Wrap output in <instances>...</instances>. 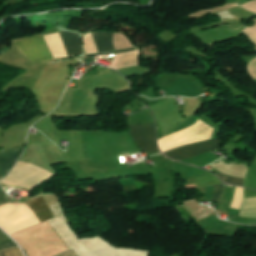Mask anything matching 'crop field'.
<instances>
[{"instance_id": "crop-field-3", "label": "crop field", "mask_w": 256, "mask_h": 256, "mask_svg": "<svg viewBox=\"0 0 256 256\" xmlns=\"http://www.w3.org/2000/svg\"><path fill=\"white\" fill-rule=\"evenodd\" d=\"M219 147H220V140L219 138H216L206 142L183 146V147L165 152V154L177 160H184L202 153L212 151Z\"/></svg>"}, {"instance_id": "crop-field-6", "label": "crop field", "mask_w": 256, "mask_h": 256, "mask_svg": "<svg viewBox=\"0 0 256 256\" xmlns=\"http://www.w3.org/2000/svg\"><path fill=\"white\" fill-rule=\"evenodd\" d=\"M23 150L24 146L0 151V179L5 177Z\"/></svg>"}, {"instance_id": "crop-field-7", "label": "crop field", "mask_w": 256, "mask_h": 256, "mask_svg": "<svg viewBox=\"0 0 256 256\" xmlns=\"http://www.w3.org/2000/svg\"><path fill=\"white\" fill-rule=\"evenodd\" d=\"M59 33L62 37L68 56L83 53L81 43L78 39V34L68 32Z\"/></svg>"}, {"instance_id": "crop-field-5", "label": "crop field", "mask_w": 256, "mask_h": 256, "mask_svg": "<svg viewBox=\"0 0 256 256\" xmlns=\"http://www.w3.org/2000/svg\"><path fill=\"white\" fill-rule=\"evenodd\" d=\"M4 203H7V201L4 198L3 192L0 190V205ZM26 204L32 209L40 223L52 218L47 204L42 197L33 199Z\"/></svg>"}, {"instance_id": "crop-field-12", "label": "crop field", "mask_w": 256, "mask_h": 256, "mask_svg": "<svg viewBox=\"0 0 256 256\" xmlns=\"http://www.w3.org/2000/svg\"><path fill=\"white\" fill-rule=\"evenodd\" d=\"M8 239V237L0 230V241Z\"/></svg>"}, {"instance_id": "crop-field-1", "label": "crop field", "mask_w": 256, "mask_h": 256, "mask_svg": "<svg viewBox=\"0 0 256 256\" xmlns=\"http://www.w3.org/2000/svg\"><path fill=\"white\" fill-rule=\"evenodd\" d=\"M12 42L16 51H20L31 61L51 55L41 34Z\"/></svg>"}, {"instance_id": "crop-field-2", "label": "crop field", "mask_w": 256, "mask_h": 256, "mask_svg": "<svg viewBox=\"0 0 256 256\" xmlns=\"http://www.w3.org/2000/svg\"><path fill=\"white\" fill-rule=\"evenodd\" d=\"M129 132L142 152L159 151L155 143L154 124L128 125Z\"/></svg>"}, {"instance_id": "crop-field-8", "label": "crop field", "mask_w": 256, "mask_h": 256, "mask_svg": "<svg viewBox=\"0 0 256 256\" xmlns=\"http://www.w3.org/2000/svg\"><path fill=\"white\" fill-rule=\"evenodd\" d=\"M16 247L17 245L11 239L0 242V252L8 249L16 248ZM1 255L2 256H23L19 248L1 252Z\"/></svg>"}, {"instance_id": "crop-field-10", "label": "crop field", "mask_w": 256, "mask_h": 256, "mask_svg": "<svg viewBox=\"0 0 256 256\" xmlns=\"http://www.w3.org/2000/svg\"><path fill=\"white\" fill-rule=\"evenodd\" d=\"M223 189H224V184L214 185V193H213L212 201L219 203Z\"/></svg>"}, {"instance_id": "crop-field-4", "label": "crop field", "mask_w": 256, "mask_h": 256, "mask_svg": "<svg viewBox=\"0 0 256 256\" xmlns=\"http://www.w3.org/2000/svg\"><path fill=\"white\" fill-rule=\"evenodd\" d=\"M97 51L98 52H103V51H114V46L112 44V34L109 32H91ZM135 48L128 49V50H120V51H115V52H108V53H102V54H89L86 55L85 57L89 56H97V55H104V54H113V53H123V52H131L135 51Z\"/></svg>"}, {"instance_id": "crop-field-11", "label": "crop field", "mask_w": 256, "mask_h": 256, "mask_svg": "<svg viewBox=\"0 0 256 256\" xmlns=\"http://www.w3.org/2000/svg\"><path fill=\"white\" fill-rule=\"evenodd\" d=\"M57 256H78V255L76 254V252L73 249H71V250H69L63 254L57 255Z\"/></svg>"}, {"instance_id": "crop-field-9", "label": "crop field", "mask_w": 256, "mask_h": 256, "mask_svg": "<svg viewBox=\"0 0 256 256\" xmlns=\"http://www.w3.org/2000/svg\"><path fill=\"white\" fill-rule=\"evenodd\" d=\"M215 175H217L220 179H222L223 181H225L227 183L243 186L244 179L228 177L220 172L216 173Z\"/></svg>"}]
</instances>
